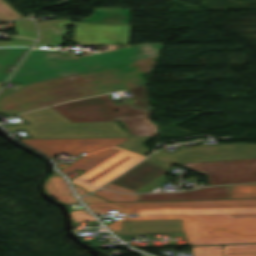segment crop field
<instances>
[{"instance_id":"obj_1","label":"crop field","mask_w":256,"mask_h":256,"mask_svg":"<svg viewBox=\"0 0 256 256\" xmlns=\"http://www.w3.org/2000/svg\"><path fill=\"white\" fill-rule=\"evenodd\" d=\"M156 56L21 84L0 91V114L14 115L35 108L143 84Z\"/></svg>"},{"instance_id":"obj_2","label":"crop field","mask_w":256,"mask_h":256,"mask_svg":"<svg viewBox=\"0 0 256 256\" xmlns=\"http://www.w3.org/2000/svg\"><path fill=\"white\" fill-rule=\"evenodd\" d=\"M127 138H88V139H19L27 145L53 157L64 151L76 155H87L60 169L68 174L78 168L86 173L70 180L90 192L115 177L145 156L115 147Z\"/></svg>"},{"instance_id":"obj_3","label":"crop field","mask_w":256,"mask_h":256,"mask_svg":"<svg viewBox=\"0 0 256 256\" xmlns=\"http://www.w3.org/2000/svg\"><path fill=\"white\" fill-rule=\"evenodd\" d=\"M182 218L190 245L256 242V218L228 215H161L122 217L121 220Z\"/></svg>"},{"instance_id":"obj_4","label":"crop field","mask_w":256,"mask_h":256,"mask_svg":"<svg viewBox=\"0 0 256 256\" xmlns=\"http://www.w3.org/2000/svg\"><path fill=\"white\" fill-rule=\"evenodd\" d=\"M72 122L120 121L129 135H155L149 112L129 104L116 105L108 94L52 106Z\"/></svg>"},{"instance_id":"obj_5","label":"crop field","mask_w":256,"mask_h":256,"mask_svg":"<svg viewBox=\"0 0 256 256\" xmlns=\"http://www.w3.org/2000/svg\"><path fill=\"white\" fill-rule=\"evenodd\" d=\"M8 131L24 128L30 138H87V137H130L117 147L144 155L148 150L143 142L153 136H129L117 122L62 123L40 125L4 126Z\"/></svg>"},{"instance_id":"obj_6","label":"crop field","mask_w":256,"mask_h":256,"mask_svg":"<svg viewBox=\"0 0 256 256\" xmlns=\"http://www.w3.org/2000/svg\"><path fill=\"white\" fill-rule=\"evenodd\" d=\"M256 158V144H223L179 149L172 153L163 150L146 160L168 170L171 163Z\"/></svg>"},{"instance_id":"obj_7","label":"crop field","mask_w":256,"mask_h":256,"mask_svg":"<svg viewBox=\"0 0 256 256\" xmlns=\"http://www.w3.org/2000/svg\"><path fill=\"white\" fill-rule=\"evenodd\" d=\"M207 176L209 185L256 182V159L180 163Z\"/></svg>"},{"instance_id":"obj_8","label":"crop field","mask_w":256,"mask_h":256,"mask_svg":"<svg viewBox=\"0 0 256 256\" xmlns=\"http://www.w3.org/2000/svg\"><path fill=\"white\" fill-rule=\"evenodd\" d=\"M121 214H163V213H229V200L117 203ZM231 215V214H230ZM235 217H256L252 215H232Z\"/></svg>"},{"instance_id":"obj_9","label":"crop field","mask_w":256,"mask_h":256,"mask_svg":"<svg viewBox=\"0 0 256 256\" xmlns=\"http://www.w3.org/2000/svg\"><path fill=\"white\" fill-rule=\"evenodd\" d=\"M129 25L76 23L74 40L81 44H127Z\"/></svg>"},{"instance_id":"obj_10","label":"crop field","mask_w":256,"mask_h":256,"mask_svg":"<svg viewBox=\"0 0 256 256\" xmlns=\"http://www.w3.org/2000/svg\"><path fill=\"white\" fill-rule=\"evenodd\" d=\"M183 232L181 219L121 221L116 235Z\"/></svg>"},{"instance_id":"obj_11","label":"crop field","mask_w":256,"mask_h":256,"mask_svg":"<svg viewBox=\"0 0 256 256\" xmlns=\"http://www.w3.org/2000/svg\"><path fill=\"white\" fill-rule=\"evenodd\" d=\"M208 198H229L228 186L202 187L181 193L139 194L138 201Z\"/></svg>"},{"instance_id":"obj_12","label":"crop field","mask_w":256,"mask_h":256,"mask_svg":"<svg viewBox=\"0 0 256 256\" xmlns=\"http://www.w3.org/2000/svg\"><path fill=\"white\" fill-rule=\"evenodd\" d=\"M163 170L164 169L144 160L111 183L134 190Z\"/></svg>"},{"instance_id":"obj_13","label":"crop field","mask_w":256,"mask_h":256,"mask_svg":"<svg viewBox=\"0 0 256 256\" xmlns=\"http://www.w3.org/2000/svg\"><path fill=\"white\" fill-rule=\"evenodd\" d=\"M68 21L66 19H56L37 22L40 39L36 45L62 44L60 36L66 33L64 25L74 26L75 24Z\"/></svg>"},{"instance_id":"obj_14","label":"crop field","mask_w":256,"mask_h":256,"mask_svg":"<svg viewBox=\"0 0 256 256\" xmlns=\"http://www.w3.org/2000/svg\"><path fill=\"white\" fill-rule=\"evenodd\" d=\"M44 189L48 194L59 201L64 203H78L70 193L63 178L54 171L53 174L47 178Z\"/></svg>"},{"instance_id":"obj_15","label":"crop field","mask_w":256,"mask_h":256,"mask_svg":"<svg viewBox=\"0 0 256 256\" xmlns=\"http://www.w3.org/2000/svg\"><path fill=\"white\" fill-rule=\"evenodd\" d=\"M30 124L70 122L53 108H45L19 115Z\"/></svg>"},{"instance_id":"obj_16","label":"crop field","mask_w":256,"mask_h":256,"mask_svg":"<svg viewBox=\"0 0 256 256\" xmlns=\"http://www.w3.org/2000/svg\"><path fill=\"white\" fill-rule=\"evenodd\" d=\"M29 47L0 48V81L4 82L9 74L3 73L6 67L16 66Z\"/></svg>"},{"instance_id":"obj_17","label":"crop field","mask_w":256,"mask_h":256,"mask_svg":"<svg viewBox=\"0 0 256 256\" xmlns=\"http://www.w3.org/2000/svg\"><path fill=\"white\" fill-rule=\"evenodd\" d=\"M224 256H256V244L222 245Z\"/></svg>"},{"instance_id":"obj_18","label":"crop field","mask_w":256,"mask_h":256,"mask_svg":"<svg viewBox=\"0 0 256 256\" xmlns=\"http://www.w3.org/2000/svg\"><path fill=\"white\" fill-rule=\"evenodd\" d=\"M230 206L232 214L256 213V199L230 200Z\"/></svg>"},{"instance_id":"obj_19","label":"crop field","mask_w":256,"mask_h":256,"mask_svg":"<svg viewBox=\"0 0 256 256\" xmlns=\"http://www.w3.org/2000/svg\"><path fill=\"white\" fill-rule=\"evenodd\" d=\"M230 198L256 197V183L229 186Z\"/></svg>"},{"instance_id":"obj_20","label":"crop field","mask_w":256,"mask_h":256,"mask_svg":"<svg viewBox=\"0 0 256 256\" xmlns=\"http://www.w3.org/2000/svg\"><path fill=\"white\" fill-rule=\"evenodd\" d=\"M92 194L104 197L105 199L112 202L137 201L138 197V194H118L103 189H99Z\"/></svg>"},{"instance_id":"obj_21","label":"crop field","mask_w":256,"mask_h":256,"mask_svg":"<svg viewBox=\"0 0 256 256\" xmlns=\"http://www.w3.org/2000/svg\"><path fill=\"white\" fill-rule=\"evenodd\" d=\"M133 96L126 97L130 103L137 107L147 106V91L145 89V86H137L133 88L127 89ZM134 99L136 102H132L131 100Z\"/></svg>"},{"instance_id":"obj_22","label":"crop field","mask_w":256,"mask_h":256,"mask_svg":"<svg viewBox=\"0 0 256 256\" xmlns=\"http://www.w3.org/2000/svg\"><path fill=\"white\" fill-rule=\"evenodd\" d=\"M13 22L18 35L32 39L36 38V32L32 20H16Z\"/></svg>"},{"instance_id":"obj_23","label":"crop field","mask_w":256,"mask_h":256,"mask_svg":"<svg viewBox=\"0 0 256 256\" xmlns=\"http://www.w3.org/2000/svg\"><path fill=\"white\" fill-rule=\"evenodd\" d=\"M193 256H223L221 245L192 246Z\"/></svg>"},{"instance_id":"obj_24","label":"crop field","mask_w":256,"mask_h":256,"mask_svg":"<svg viewBox=\"0 0 256 256\" xmlns=\"http://www.w3.org/2000/svg\"><path fill=\"white\" fill-rule=\"evenodd\" d=\"M90 210L95 214L106 213V210L117 209L118 205L115 203H99V204H86Z\"/></svg>"},{"instance_id":"obj_25","label":"crop field","mask_w":256,"mask_h":256,"mask_svg":"<svg viewBox=\"0 0 256 256\" xmlns=\"http://www.w3.org/2000/svg\"><path fill=\"white\" fill-rule=\"evenodd\" d=\"M72 221H95L92 216L84 210H74L70 212Z\"/></svg>"},{"instance_id":"obj_26","label":"crop field","mask_w":256,"mask_h":256,"mask_svg":"<svg viewBox=\"0 0 256 256\" xmlns=\"http://www.w3.org/2000/svg\"><path fill=\"white\" fill-rule=\"evenodd\" d=\"M34 43V40H19L0 42V47H12V46H30Z\"/></svg>"},{"instance_id":"obj_27","label":"crop field","mask_w":256,"mask_h":256,"mask_svg":"<svg viewBox=\"0 0 256 256\" xmlns=\"http://www.w3.org/2000/svg\"><path fill=\"white\" fill-rule=\"evenodd\" d=\"M0 16H20L11 9L3 0H0Z\"/></svg>"},{"instance_id":"obj_28","label":"crop field","mask_w":256,"mask_h":256,"mask_svg":"<svg viewBox=\"0 0 256 256\" xmlns=\"http://www.w3.org/2000/svg\"><path fill=\"white\" fill-rule=\"evenodd\" d=\"M84 203H98V202H108L104 199L98 198L92 194L81 197Z\"/></svg>"},{"instance_id":"obj_29","label":"crop field","mask_w":256,"mask_h":256,"mask_svg":"<svg viewBox=\"0 0 256 256\" xmlns=\"http://www.w3.org/2000/svg\"><path fill=\"white\" fill-rule=\"evenodd\" d=\"M103 188L111 189V190L118 191V192H135V191L111 184V183L106 184Z\"/></svg>"},{"instance_id":"obj_30","label":"crop field","mask_w":256,"mask_h":256,"mask_svg":"<svg viewBox=\"0 0 256 256\" xmlns=\"http://www.w3.org/2000/svg\"><path fill=\"white\" fill-rule=\"evenodd\" d=\"M110 230H120V219L106 225Z\"/></svg>"},{"instance_id":"obj_31","label":"crop field","mask_w":256,"mask_h":256,"mask_svg":"<svg viewBox=\"0 0 256 256\" xmlns=\"http://www.w3.org/2000/svg\"><path fill=\"white\" fill-rule=\"evenodd\" d=\"M74 188L76 189L78 195H83L86 194L87 192H85L84 190L80 189L78 186L73 185Z\"/></svg>"},{"instance_id":"obj_32","label":"crop field","mask_w":256,"mask_h":256,"mask_svg":"<svg viewBox=\"0 0 256 256\" xmlns=\"http://www.w3.org/2000/svg\"><path fill=\"white\" fill-rule=\"evenodd\" d=\"M16 18H21V17H0V21L11 20V19H16Z\"/></svg>"},{"instance_id":"obj_33","label":"crop field","mask_w":256,"mask_h":256,"mask_svg":"<svg viewBox=\"0 0 256 256\" xmlns=\"http://www.w3.org/2000/svg\"><path fill=\"white\" fill-rule=\"evenodd\" d=\"M63 57L62 54H56V58Z\"/></svg>"},{"instance_id":"obj_34","label":"crop field","mask_w":256,"mask_h":256,"mask_svg":"<svg viewBox=\"0 0 256 256\" xmlns=\"http://www.w3.org/2000/svg\"><path fill=\"white\" fill-rule=\"evenodd\" d=\"M1 84H2V83L0 82V86H1Z\"/></svg>"}]
</instances>
